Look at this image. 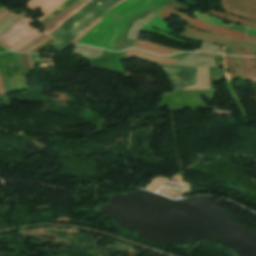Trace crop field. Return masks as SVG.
Here are the masks:
<instances>
[{"label": "crop field", "instance_id": "29", "mask_svg": "<svg viewBox=\"0 0 256 256\" xmlns=\"http://www.w3.org/2000/svg\"><path fill=\"white\" fill-rule=\"evenodd\" d=\"M3 93H5V92H4V88H3L1 78H0V94H3Z\"/></svg>", "mask_w": 256, "mask_h": 256}, {"label": "crop field", "instance_id": "2", "mask_svg": "<svg viewBox=\"0 0 256 256\" xmlns=\"http://www.w3.org/2000/svg\"><path fill=\"white\" fill-rule=\"evenodd\" d=\"M151 0H126L112 9L102 21L92 28L79 42L105 48L114 38L121 21L128 15L147 6Z\"/></svg>", "mask_w": 256, "mask_h": 256}, {"label": "crop field", "instance_id": "18", "mask_svg": "<svg viewBox=\"0 0 256 256\" xmlns=\"http://www.w3.org/2000/svg\"><path fill=\"white\" fill-rule=\"evenodd\" d=\"M209 14L215 15V16L220 17V18H223L224 16H227V18H229L230 21L237 22V23H240V24L244 25L243 20L234 16V15H230V14H226V13H222V12L214 11V10H211L209 12Z\"/></svg>", "mask_w": 256, "mask_h": 256}, {"label": "crop field", "instance_id": "28", "mask_svg": "<svg viewBox=\"0 0 256 256\" xmlns=\"http://www.w3.org/2000/svg\"><path fill=\"white\" fill-rule=\"evenodd\" d=\"M247 38H248V40H249L250 42L256 43V38H255V37H251V36H248V35H247Z\"/></svg>", "mask_w": 256, "mask_h": 256}, {"label": "crop field", "instance_id": "13", "mask_svg": "<svg viewBox=\"0 0 256 256\" xmlns=\"http://www.w3.org/2000/svg\"><path fill=\"white\" fill-rule=\"evenodd\" d=\"M33 22L34 21L29 16L26 17L25 19H23L19 23L15 24L12 28H10L9 30H7L4 33H2L0 35V40H2V41L5 40L6 38L11 36L12 34L16 33L17 31H19L20 29H22L26 25H28L30 23H33Z\"/></svg>", "mask_w": 256, "mask_h": 256}, {"label": "crop field", "instance_id": "19", "mask_svg": "<svg viewBox=\"0 0 256 256\" xmlns=\"http://www.w3.org/2000/svg\"><path fill=\"white\" fill-rule=\"evenodd\" d=\"M232 58H233V66H234V75H235V77L239 78V73H240L241 80L246 81L245 77H244V74H243L240 57H236L237 62H238V66H239V73H238L237 64H236V58L234 56H232Z\"/></svg>", "mask_w": 256, "mask_h": 256}, {"label": "crop field", "instance_id": "3", "mask_svg": "<svg viewBox=\"0 0 256 256\" xmlns=\"http://www.w3.org/2000/svg\"><path fill=\"white\" fill-rule=\"evenodd\" d=\"M152 12L156 13L157 15L161 16L162 18H164L166 20L169 19L171 16H173L176 13L181 16V20H180L181 23L188 24L191 27H194V28H197L200 30H204V31L214 32V33H218V34H224V35H228L231 37L247 40L246 35L243 33H239V32L231 31L228 29L209 25V24L204 23L198 19L184 15L166 5L157 10H154Z\"/></svg>", "mask_w": 256, "mask_h": 256}, {"label": "crop field", "instance_id": "9", "mask_svg": "<svg viewBox=\"0 0 256 256\" xmlns=\"http://www.w3.org/2000/svg\"><path fill=\"white\" fill-rule=\"evenodd\" d=\"M134 47L147 50L152 53L161 54V55H170V54L181 52V50L171 49V48L159 46L156 44H152V43L140 41V40H137Z\"/></svg>", "mask_w": 256, "mask_h": 256}, {"label": "crop field", "instance_id": "11", "mask_svg": "<svg viewBox=\"0 0 256 256\" xmlns=\"http://www.w3.org/2000/svg\"><path fill=\"white\" fill-rule=\"evenodd\" d=\"M244 73L247 80L256 82V61L254 57H241Z\"/></svg>", "mask_w": 256, "mask_h": 256}, {"label": "crop field", "instance_id": "15", "mask_svg": "<svg viewBox=\"0 0 256 256\" xmlns=\"http://www.w3.org/2000/svg\"><path fill=\"white\" fill-rule=\"evenodd\" d=\"M123 1H125V0H121L120 2H118V3H116L114 6H112L111 8L107 9V10L103 13V15H102L100 18H98L97 20H95L92 24H90V25L87 26L82 32H80V33L69 43V45H70V44H73V43H76L79 39H81L93 26H95V25L104 17V15H105L108 11H110L112 8H114L115 6H117L118 4H120V3L123 2ZM69 45H68V46H69Z\"/></svg>", "mask_w": 256, "mask_h": 256}, {"label": "crop field", "instance_id": "16", "mask_svg": "<svg viewBox=\"0 0 256 256\" xmlns=\"http://www.w3.org/2000/svg\"><path fill=\"white\" fill-rule=\"evenodd\" d=\"M194 15H196V17L204 22L210 23L212 25H217V26H222L224 27V24L222 23V21L220 19H217L215 17L209 16L207 14H201L199 12H195Z\"/></svg>", "mask_w": 256, "mask_h": 256}, {"label": "crop field", "instance_id": "12", "mask_svg": "<svg viewBox=\"0 0 256 256\" xmlns=\"http://www.w3.org/2000/svg\"><path fill=\"white\" fill-rule=\"evenodd\" d=\"M163 1H165V0H153V1L149 2V4H151L150 6L144 8V9H142V10L132 14L131 16L127 17L126 19H124L122 21V23L120 24L119 28H118V31H117L116 36H115V39L106 47V49L111 50L112 47L118 42L119 37L121 35V32L123 30V27H124L125 23L127 22V20H129L131 17H133V16H135V15L141 13V12H144V11L154 7L155 5H157V4H159V3L163 2Z\"/></svg>", "mask_w": 256, "mask_h": 256}, {"label": "crop field", "instance_id": "24", "mask_svg": "<svg viewBox=\"0 0 256 256\" xmlns=\"http://www.w3.org/2000/svg\"><path fill=\"white\" fill-rule=\"evenodd\" d=\"M246 32H247L248 35L256 37V31L255 30H252V29H249V28L246 27Z\"/></svg>", "mask_w": 256, "mask_h": 256}, {"label": "crop field", "instance_id": "4", "mask_svg": "<svg viewBox=\"0 0 256 256\" xmlns=\"http://www.w3.org/2000/svg\"><path fill=\"white\" fill-rule=\"evenodd\" d=\"M184 29L186 30L182 33L184 35L212 43L224 44L231 47V55H239V48L246 49L248 51H256L255 45L245 41L209 32H201L188 26H186Z\"/></svg>", "mask_w": 256, "mask_h": 256}, {"label": "crop field", "instance_id": "1", "mask_svg": "<svg viewBox=\"0 0 256 256\" xmlns=\"http://www.w3.org/2000/svg\"><path fill=\"white\" fill-rule=\"evenodd\" d=\"M75 1L76 0H30L28 7L33 11L39 8L43 10L44 15L37 19L43 25ZM84 1L86 2L63 18L54 29L49 31L45 29L43 33L56 40L50 46L60 51L66 48L67 44L86 25L97 19L107 8L111 7L119 0H107L102 4L94 0ZM43 33L29 25L3 42L17 51Z\"/></svg>", "mask_w": 256, "mask_h": 256}, {"label": "crop field", "instance_id": "27", "mask_svg": "<svg viewBox=\"0 0 256 256\" xmlns=\"http://www.w3.org/2000/svg\"><path fill=\"white\" fill-rule=\"evenodd\" d=\"M0 46L6 50H12L10 47H8L7 45L3 44L2 42H0ZM14 51V50H12Z\"/></svg>", "mask_w": 256, "mask_h": 256}, {"label": "crop field", "instance_id": "10", "mask_svg": "<svg viewBox=\"0 0 256 256\" xmlns=\"http://www.w3.org/2000/svg\"><path fill=\"white\" fill-rule=\"evenodd\" d=\"M126 56L140 57V58L152 60V61L159 62V63H165V64H173L176 61H178L177 59H171V58H166V57H162V56H157V55H154V54H151L148 52L139 51V50H135V49H129L126 53Z\"/></svg>", "mask_w": 256, "mask_h": 256}, {"label": "crop field", "instance_id": "23", "mask_svg": "<svg viewBox=\"0 0 256 256\" xmlns=\"http://www.w3.org/2000/svg\"><path fill=\"white\" fill-rule=\"evenodd\" d=\"M240 55L243 56H254V52H247L240 49Z\"/></svg>", "mask_w": 256, "mask_h": 256}, {"label": "crop field", "instance_id": "17", "mask_svg": "<svg viewBox=\"0 0 256 256\" xmlns=\"http://www.w3.org/2000/svg\"><path fill=\"white\" fill-rule=\"evenodd\" d=\"M48 38L46 35H41L40 37H38L36 40H34L33 42H31L30 44H28L27 46H25L24 48L20 49L19 52H30L32 51L34 48H36L37 46H39L40 44L44 43L45 41H47Z\"/></svg>", "mask_w": 256, "mask_h": 256}, {"label": "crop field", "instance_id": "25", "mask_svg": "<svg viewBox=\"0 0 256 256\" xmlns=\"http://www.w3.org/2000/svg\"><path fill=\"white\" fill-rule=\"evenodd\" d=\"M199 55H205V56H208V57L216 58L215 54H212V53L201 52Z\"/></svg>", "mask_w": 256, "mask_h": 256}, {"label": "crop field", "instance_id": "21", "mask_svg": "<svg viewBox=\"0 0 256 256\" xmlns=\"http://www.w3.org/2000/svg\"><path fill=\"white\" fill-rule=\"evenodd\" d=\"M21 55H22L25 71H29L30 70V66H29V62H28V59H27V55L23 54V53H21Z\"/></svg>", "mask_w": 256, "mask_h": 256}, {"label": "crop field", "instance_id": "20", "mask_svg": "<svg viewBox=\"0 0 256 256\" xmlns=\"http://www.w3.org/2000/svg\"><path fill=\"white\" fill-rule=\"evenodd\" d=\"M226 58H227V63H228V68H229V77H230V81H231L234 79L233 71L231 70L232 59H231V56H226Z\"/></svg>", "mask_w": 256, "mask_h": 256}, {"label": "crop field", "instance_id": "5", "mask_svg": "<svg viewBox=\"0 0 256 256\" xmlns=\"http://www.w3.org/2000/svg\"><path fill=\"white\" fill-rule=\"evenodd\" d=\"M159 67L166 71L174 90H180L189 85L196 84V67H180L174 65L169 67L159 65Z\"/></svg>", "mask_w": 256, "mask_h": 256}, {"label": "crop field", "instance_id": "7", "mask_svg": "<svg viewBox=\"0 0 256 256\" xmlns=\"http://www.w3.org/2000/svg\"><path fill=\"white\" fill-rule=\"evenodd\" d=\"M25 13L15 14L14 12L10 11L6 7L0 8V34L4 32L5 30L12 27L15 23L25 18Z\"/></svg>", "mask_w": 256, "mask_h": 256}, {"label": "crop field", "instance_id": "8", "mask_svg": "<svg viewBox=\"0 0 256 256\" xmlns=\"http://www.w3.org/2000/svg\"><path fill=\"white\" fill-rule=\"evenodd\" d=\"M150 27H153V28H156V29H159V30H162L164 32L172 34L173 31H171L169 29V24L166 23L162 18H160L158 16L156 18H154L152 21L147 22L141 29L145 30V31H148V32L160 34V35H163V36H166V37L178 40V41H182V40H179V39H177V38H175V37H173L169 34L160 32V31L152 29ZM182 42H184V41H182ZM187 43H191V42H187Z\"/></svg>", "mask_w": 256, "mask_h": 256}, {"label": "crop field", "instance_id": "6", "mask_svg": "<svg viewBox=\"0 0 256 256\" xmlns=\"http://www.w3.org/2000/svg\"><path fill=\"white\" fill-rule=\"evenodd\" d=\"M223 10L256 21V0H222Z\"/></svg>", "mask_w": 256, "mask_h": 256}, {"label": "crop field", "instance_id": "26", "mask_svg": "<svg viewBox=\"0 0 256 256\" xmlns=\"http://www.w3.org/2000/svg\"><path fill=\"white\" fill-rule=\"evenodd\" d=\"M27 55H28V59H29V62H30L31 70H35V67H34V64L32 62V59H31L30 55L29 54H27Z\"/></svg>", "mask_w": 256, "mask_h": 256}, {"label": "crop field", "instance_id": "14", "mask_svg": "<svg viewBox=\"0 0 256 256\" xmlns=\"http://www.w3.org/2000/svg\"><path fill=\"white\" fill-rule=\"evenodd\" d=\"M83 2L84 1H82V0H77L72 6L65 9L62 13H60L58 16H56L54 19H52L50 22H48L46 25H44L46 27V29L49 30L50 28H52L54 25H56V23L60 19L65 17L67 14H69L71 11H73L75 8H77L79 5H81Z\"/></svg>", "mask_w": 256, "mask_h": 256}, {"label": "crop field", "instance_id": "22", "mask_svg": "<svg viewBox=\"0 0 256 256\" xmlns=\"http://www.w3.org/2000/svg\"><path fill=\"white\" fill-rule=\"evenodd\" d=\"M244 21H245L246 26L256 30V22L245 20V19H244Z\"/></svg>", "mask_w": 256, "mask_h": 256}]
</instances>
